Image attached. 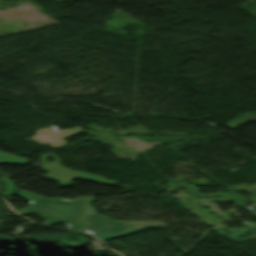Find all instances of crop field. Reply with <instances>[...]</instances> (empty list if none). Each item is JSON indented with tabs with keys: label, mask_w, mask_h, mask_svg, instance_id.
Wrapping results in <instances>:
<instances>
[{
	"label": "crop field",
	"mask_w": 256,
	"mask_h": 256,
	"mask_svg": "<svg viewBox=\"0 0 256 256\" xmlns=\"http://www.w3.org/2000/svg\"><path fill=\"white\" fill-rule=\"evenodd\" d=\"M7 185L6 190L8 195L18 194L31 201V207L18 211L23 216L30 213H39L43 218L48 221L44 225H50L57 222L67 223L70 228L76 229L79 227L84 206L85 198H79L76 200L65 199H47L22 190L15 188V185L10 180L3 179ZM21 191L20 193H14L11 189Z\"/></svg>",
	"instance_id": "8a807250"
},
{
	"label": "crop field",
	"mask_w": 256,
	"mask_h": 256,
	"mask_svg": "<svg viewBox=\"0 0 256 256\" xmlns=\"http://www.w3.org/2000/svg\"><path fill=\"white\" fill-rule=\"evenodd\" d=\"M94 197L88 198L87 210L84 222L80 230L88 231L101 240L127 236L144 228H162L167 226L160 221H114L110 217L96 214V210L90 207Z\"/></svg>",
	"instance_id": "ac0d7876"
},
{
	"label": "crop field",
	"mask_w": 256,
	"mask_h": 256,
	"mask_svg": "<svg viewBox=\"0 0 256 256\" xmlns=\"http://www.w3.org/2000/svg\"><path fill=\"white\" fill-rule=\"evenodd\" d=\"M47 157L55 158L56 163L47 162ZM42 159H43V164H42L41 168H43V169L52 170V171H56V172L76 176V177H79L81 179L92 180V181L105 183V184H109V185L115 184L114 182L107 181V180L103 179L102 177H98V176L85 174V173H81V172H77V171L67 169V168L63 167L62 165H60L59 158L57 156H55L54 154L44 155V156H42ZM52 171L50 173H48L45 177L52 178V179H55V180L59 181L61 186L70 185V182L76 179V178H72V177H69V176L54 173Z\"/></svg>",
	"instance_id": "34b2d1b8"
},
{
	"label": "crop field",
	"mask_w": 256,
	"mask_h": 256,
	"mask_svg": "<svg viewBox=\"0 0 256 256\" xmlns=\"http://www.w3.org/2000/svg\"><path fill=\"white\" fill-rule=\"evenodd\" d=\"M243 117V116H242ZM247 121H256V112L252 113L248 116H245L243 118L237 119V120H233L225 125H227L228 127L232 128L233 130H236L237 127Z\"/></svg>",
	"instance_id": "412701ff"
},
{
	"label": "crop field",
	"mask_w": 256,
	"mask_h": 256,
	"mask_svg": "<svg viewBox=\"0 0 256 256\" xmlns=\"http://www.w3.org/2000/svg\"><path fill=\"white\" fill-rule=\"evenodd\" d=\"M29 160L10 156L7 154H4L0 152V163H5V164H18V163H25L27 164Z\"/></svg>",
	"instance_id": "f4fd0767"
}]
</instances>
